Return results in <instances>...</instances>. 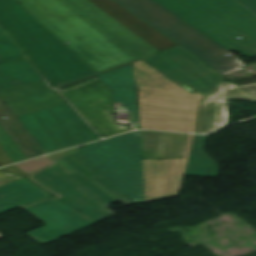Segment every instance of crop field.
<instances>
[{
	"mask_svg": "<svg viewBox=\"0 0 256 256\" xmlns=\"http://www.w3.org/2000/svg\"><path fill=\"white\" fill-rule=\"evenodd\" d=\"M207 135H194L185 176L216 177V163L203 151Z\"/></svg>",
	"mask_w": 256,
	"mask_h": 256,
	"instance_id": "obj_23",
	"label": "crop field"
},
{
	"mask_svg": "<svg viewBox=\"0 0 256 256\" xmlns=\"http://www.w3.org/2000/svg\"><path fill=\"white\" fill-rule=\"evenodd\" d=\"M8 164H11L10 160L6 157V155L0 149V167Z\"/></svg>",
	"mask_w": 256,
	"mask_h": 256,
	"instance_id": "obj_31",
	"label": "crop field"
},
{
	"mask_svg": "<svg viewBox=\"0 0 256 256\" xmlns=\"http://www.w3.org/2000/svg\"><path fill=\"white\" fill-rule=\"evenodd\" d=\"M155 1L224 48L256 57V15L234 0Z\"/></svg>",
	"mask_w": 256,
	"mask_h": 256,
	"instance_id": "obj_3",
	"label": "crop field"
},
{
	"mask_svg": "<svg viewBox=\"0 0 256 256\" xmlns=\"http://www.w3.org/2000/svg\"><path fill=\"white\" fill-rule=\"evenodd\" d=\"M224 76L244 64L226 49L170 13L153 0H115ZM229 54V56H225Z\"/></svg>",
	"mask_w": 256,
	"mask_h": 256,
	"instance_id": "obj_5",
	"label": "crop field"
},
{
	"mask_svg": "<svg viewBox=\"0 0 256 256\" xmlns=\"http://www.w3.org/2000/svg\"><path fill=\"white\" fill-rule=\"evenodd\" d=\"M0 23L54 87L94 74L15 0H0Z\"/></svg>",
	"mask_w": 256,
	"mask_h": 256,
	"instance_id": "obj_2",
	"label": "crop field"
},
{
	"mask_svg": "<svg viewBox=\"0 0 256 256\" xmlns=\"http://www.w3.org/2000/svg\"><path fill=\"white\" fill-rule=\"evenodd\" d=\"M128 30L162 52L178 46L113 0H89Z\"/></svg>",
	"mask_w": 256,
	"mask_h": 256,
	"instance_id": "obj_18",
	"label": "crop field"
},
{
	"mask_svg": "<svg viewBox=\"0 0 256 256\" xmlns=\"http://www.w3.org/2000/svg\"><path fill=\"white\" fill-rule=\"evenodd\" d=\"M256 98V84L240 86Z\"/></svg>",
	"mask_w": 256,
	"mask_h": 256,
	"instance_id": "obj_30",
	"label": "crop field"
},
{
	"mask_svg": "<svg viewBox=\"0 0 256 256\" xmlns=\"http://www.w3.org/2000/svg\"><path fill=\"white\" fill-rule=\"evenodd\" d=\"M137 59L159 53L88 0H62Z\"/></svg>",
	"mask_w": 256,
	"mask_h": 256,
	"instance_id": "obj_12",
	"label": "crop field"
},
{
	"mask_svg": "<svg viewBox=\"0 0 256 256\" xmlns=\"http://www.w3.org/2000/svg\"><path fill=\"white\" fill-rule=\"evenodd\" d=\"M98 78L113 91L115 104L125 107L131 123L134 126L139 125L132 64L98 76Z\"/></svg>",
	"mask_w": 256,
	"mask_h": 256,
	"instance_id": "obj_20",
	"label": "crop field"
},
{
	"mask_svg": "<svg viewBox=\"0 0 256 256\" xmlns=\"http://www.w3.org/2000/svg\"><path fill=\"white\" fill-rule=\"evenodd\" d=\"M75 112L64 103L17 118L48 154L100 139Z\"/></svg>",
	"mask_w": 256,
	"mask_h": 256,
	"instance_id": "obj_7",
	"label": "crop field"
},
{
	"mask_svg": "<svg viewBox=\"0 0 256 256\" xmlns=\"http://www.w3.org/2000/svg\"><path fill=\"white\" fill-rule=\"evenodd\" d=\"M0 96L15 116L65 102L45 80L1 90Z\"/></svg>",
	"mask_w": 256,
	"mask_h": 256,
	"instance_id": "obj_16",
	"label": "crop field"
},
{
	"mask_svg": "<svg viewBox=\"0 0 256 256\" xmlns=\"http://www.w3.org/2000/svg\"><path fill=\"white\" fill-rule=\"evenodd\" d=\"M62 160L79 171L71 177L106 207L118 200L126 206L133 204L121 190L78 151Z\"/></svg>",
	"mask_w": 256,
	"mask_h": 256,
	"instance_id": "obj_14",
	"label": "crop field"
},
{
	"mask_svg": "<svg viewBox=\"0 0 256 256\" xmlns=\"http://www.w3.org/2000/svg\"><path fill=\"white\" fill-rule=\"evenodd\" d=\"M60 92L102 137L130 130L129 126L115 124L111 91L97 77L60 89ZM107 105L108 113L105 112Z\"/></svg>",
	"mask_w": 256,
	"mask_h": 256,
	"instance_id": "obj_9",
	"label": "crop field"
},
{
	"mask_svg": "<svg viewBox=\"0 0 256 256\" xmlns=\"http://www.w3.org/2000/svg\"><path fill=\"white\" fill-rule=\"evenodd\" d=\"M195 57L178 46L142 61L175 83L185 82L205 96L226 77Z\"/></svg>",
	"mask_w": 256,
	"mask_h": 256,
	"instance_id": "obj_8",
	"label": "crop field"
},
{
	"mask_svg": "<svg viewBox=\"0 0 256 256\" xmlns=\"http://www.w3.org/2000/svg\"><path fill=\"white\" fill-rule=\"evenodd\" d=\"M215 96L256 101L243 89L230 82L223 81L200 102L194 133H207L226 125L225 102H216Z\"/></svg>",
	"mask_w": 256,
	"mask_h": 256,
	"instance_id": "obj_17",
	"label": "crop field"
},
{
	"mask_svg": "<svg viewBox=\"0 0 256 256\" xmlns=\"http://www.w3.org/2000/svg\"><path fill=\"white\" fill-rule=\"evenodd\" d=\"M23 58L27 57L0 26V63ZM34 66L28 58L0 65V89L45 79Z\"/></svg>",
	"mask_w": 256,
	"mask_h": 256,
	"instance_id": "obj_15",
	"label": "crop field"
},
{
	"mask_svg": "<svg viewBox=\"0 0 256 256\" xmlns=\"http://www.w3.org/2000/svg\"><path fill=\"white\" fill-rule=\"evenodd\" d=\"M6 117L7 119H3ZM0 124L9 133L26 156L34 158L44 155V151L31 135L24 129L18 119L13 115L4 101L0 98Z\"/></svg>",
	"mask_w": 256,
	"mask_h": 256,
	"instance_id": "obj_22",
	"label": "crop field"
},
{
	"mask_svg": "<svg viewBox=\"0 0 256 256\" xmlns=\"http://www.w3.org/2000/svg\"><path fill=\"white\" fill-rule=\"evenodd\" d=\"M0 148L4 151V153L7 155V157L11 160L12 163L27 158L1 125Z\"/></svg>",
	"mask_w": 256,
	"mask_h": 256,
	"instance_id": "obj_24",
	"label": "crop field"
},
{
	"mask_svg": "<svg viewBox=\"0 0 256 256\" xmlns=\"http://www.w3.org/2000/svg\"><path fill=\"white\" fill-rule=\"evenodd\" d=\"M26 178L97 222L108 213L103 204L54 163Z\"/></svg>",
	"mask_w": 256,
	"mask_h": 256,
	"instance_id": "obj_11",
	"label": "crop field"
},
{
	"mask_svg": "<svg viewBox=\"0 0 256 256\" xmlns=\"http://www.w3.org/2000/svg\"><path fill=\"white\" fill-rule=\"evenodd\" d=\"M77 150H79V149L76 148V149H72V150H68V151L48 155V157H50L55 162V164H57L60 168H62L66 173L71 175V174H73L77 171L74 168H72L71 166H69L68 164H66L64 161H62L61 159L68 156L69 154L77 151Z\"/></svg>",
	"mask_w": 256,
	"mask_h": 256,
	"instance_id": "obj_26",
	"label": "crop field"
},
{
	"mask_svg": "<svg viewBox=\"0 0 256 256\" xmlns=\"http://www.w3.org/2000/svg\"><path fill=\"white\" fill-rule=\"evenodd\" d=\"M22 177L0 171V186L18 180Z\"/></svg>",
	"mask_w": 256,
	"mask_h": 256,
	"instance_id": "obj_27",
	"label": "crop field"
},
{
	"mask_svg": "<svg viewBox=\"0 0 256 256\" xmlns=\"http://www.w3.org/2000/svg\"><path fill=\"white\" fill-rule=\"evenodd\" d=\"M217 101L218 100H224L226 101V122L228 123V119H227V110H228V104H227V99H221L220 97H216Z\"/></svg>",
	"mask_w": 256,
	"mask_h": 256,
	"instance_id": "obj_32",
	"label": "crop field"
},
{
	"mask_svg": "<svg viewBox=\"0 0 256 256\" xmlns=\"http://www.w3.org/2000/svg\"><path fill=\"white\" fill-rule=\"evenodd\" d=\"M133 69L140 96L141 128L191 132L196 106L203 95L187 93L142 61L134 63Z\"/></svg>",
	"mask_w": 256,
	"mask_h": 256,
	"instance_id": "obj_4",
	"label": "crop field"
},
{
	"mask_svg": "<svg viewBox=\"0 0 256 256\" xmlns=\"http://www.w3.org/2000/svg\"><path fill=\"white\" fill-rule=\"evenodd\" d=\"M189 136L142 131L143 159H184Z\"/></svg>",
	"mask_w": 256,
	"mask_h": 256,
	"instance_id": "obj_19",
	"label": "crop field"
},
{
	"mask_svg": "<svg viewBox=\"0 0 256 256\" xmlns=\"http://www.w3.org/2000/svg\"><path fill=\"white\" fill-rule=\"evenodd\" d=\"M51 196L26 179L0 187V214Z\"/></svg>",
	"mask_w": 256,
	"mask_h": 256,
	"instance_id": "obj_21",
	"label": "crop field"
},
{
	"mask_svg": "<svg viewBox=\"0 0 256 256\" xmlns=\"http://www.w3.org/2000/svg\"><path fill=\"white\" fill-rule=\"evenodd\" d=\"M256 14V0H236Z\"/></svg>",
	"mask_w": 256,
	"mask_h": 256,
	"instance_id": "obj_28",
	"label": "crop field"
},
{
	"mask_svg": "<svg viewBox=\"0 0 256 256\" xmlns=\"http://www.w3.org/2000/svg\"><path fill=\"white\" fill-rule=\"evenodd\" d=\"M50 164L52 163L49 159L42 157V158L26 161V162L15 164V165L30 175Z\"/></svg>",
	"mask_w": 256,
	"mask_h": 256,
	"instance_id": "obj_25",
	"label": "crop field"
},
{
	"mask_svg": "<svg viewBox=\"0 0 256 256\" xmlns=\"http://www.w3.org/2000/svg\"><path fill=\"white\" fill-rule=\"evenodd\" d=\"M22 208L46 224L44 227L24 233L41 245L49 244L96 223L53 196Z\"/></svg>",
	"mask_w": 256,
	"mask_h": 256,
	"instance_id": "obj_10",
	"label": "crop field"
},
{
	"mask_svg": "<svg viewBox=\"0 0 256 256\" xmlns=\"http://www.w3.org/2000/svg\"><path fill=\"white\" fill-rule=\"evenodd\" d=\"M79 152L135 204L144 203L139 131L96 142Z\"/></svg>",
	"mask_w": 256,
	"mask_h": 256,
	"instance_id": "obj_6",
	"label": "crop field"
},
{
	"mask_svg": "<svg viewBox=\"0 0 256 256\" xmlns=\"http://www.w3.org/2000/svg\"><path fill=\"white\" fill-rule=\"evenodd\" d=\"M16 1L95 73L136 60L61 0Z\"/></svg>",
	"mask_w": 256,
	"mask_h": 256,
	"instance_id": "obj_1",
	"label": "crop field"
},
{
	"mask_svg": "<svg viewBox=\"0 0 256 256\" xmlns=\"http://www.w3.org/2000/svg\"><path fill=\"white\" fill-rule=\"evenodd\" d=\"M192 137L193 135L190 137L185 160L143 161L147 201L178 195L186 170Z\"/></svg>",
	"mask_w": 256,
	"mask_h": 256,
	"instance_id": "obj_13",
	"label": "crop field"
},
{
	"mask_svg": "<svg viewBox=\"0 0 256 256\" xmlns=\"http://www.w3.org/2000/svg\"><path fill=\"white\" fill-rule=\"evenodd\" d=\"M3 237V235L0 233V238Z\"/></svg>",
	"mask_w": 256,
	"mask_h": 256,
	"instance_id": "obj_33",
	"label": "crop field"
},
{
	"mask_svg": "<svg viewBox=\"0 0 256 256\" xmlns=\"http://www.w3.org/2000/svg\"><path fill=\"white\" fill-rule=\"evenodd\" d=\"M0 170L15 173V174H19V175L24 176V177L28 176L26 173H24L23 171H21L19 168H17L14 165L11 166V167H8V168L0 169Z\"/></svg>",
	"mask_w": 256,
	"mask_h": 256,
	"instance_id": "obj_29",
	"label": "crop field"
}]
</instances>
